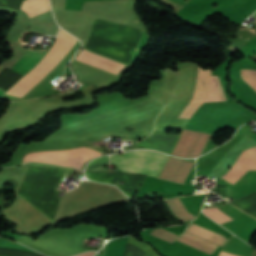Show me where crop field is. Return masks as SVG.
I'll list each match as a JSON object with an SVG mask.
<instances>
[{
	"label": "crop field",
	"instance_id": "bc2a9ffb",
	"mask_svg": "<svg viewBox=\"0 0 256 256\" xmlns=\"http://www.w3.org/2000/svg\"><path fill=\"white\" fill-rule=\"evenodd\" d=\"M253 16H255V17H256V13H255V14H253Z\"/></svg>",
	"mask_w": 256,
	"mask_h": 256
},
{
	"label": "crop field",
	"instance_id": "f4fd0767",
	"mask_svg": "<svg viewBox=\"0 0 256 256\" xmlns=\"http://www.w3.org/2000/svg\"><path fill=\"white\" fill-rule=\"evenodd\" d=\"M209 136L200 132L183 130L172 155L188 158L200 156Z\"/></svg>",
	"mask_w": 256,
	"mask_h": 256
},
{
	"label": "crop field",
	"instance_id": "d8731c3e",
	"mask_svg": "<svg viewBox=\"0 0 256 256\" xmlns=\"http://www.w3.org/2000/svg\"><path fill=\"white\" fill-rule=\"evenodd\" d=\"M193 163L169 157L159 178L184 183Z\"/></svg>",
	"mask_w": 256,
	"mask_h": 256
},
{
	"label": "crop field",
	"instance_id": "28ad6ade",
	"mask_svg": "<svg viewBox=\"0 0 256 256\" xmlns=\"http://www.w3.org/2000/svg\"><path fill=\"white\" fill-rule=\"evenodd\" d=\"M49 8H50V6H49L48 0H25L21 7V9L26 11L30 17L35 14H38L42 11H45ZM50 10L51 9H49L47 11H50ZM47 11H45V12H47ZM45 12H42V13H45ZM42 13H40V14H42Z\"/></svg>",
	"mask_w": 256,
	"mask_h": 256
},
{
	"label": "crop field",
	"instance_id": "214f88e0",
	"mask_svg": "<svg viewBox=\"0 0 256 256\" xmlns=\"http://www.w3.org/2000/svg\"><path fill=\"white\" fill-rule=\"evenodd\" d=\"M239 209V208H238ZM242 211V210H241ZM244 212V211H243ZM247 214V213H246ZM249 215V214H248ZM251 216V215H250ZM254 218V217H253ZM256 219V218H255Z\"/></svg>",
	"mask_w": 256,
	"mask_h": 256
},
{
	"label": "crop field",
	"instance_id": "dd49c442",
	"mask_svg": "<svg viewBox=\"0 0 256 256\" xmlns=\"http://www.w3.org/2000/svg\"><path fill=\"white\" fill-rule=\"evenodd\" d=\"M249 169H256V147L243 151L222 178L234 184Z\"/></svg>",
	"mask_w": 256,
	"mask_h": 256
},
{
	"label": "crop field",
	"instance_id": "cbeb9de0",
	"mask_svg": "<svg viewBox=\"0 0 256 256\" xmlns=\"http://www.w3.org/2000/svg\"><path fill=\"white\" fill-rule=\"evenodd\" d=\"M242 78L256 90V71L251 69L241 70Z\"/></svg>",
	"mask_w": 256,
	"mask_h": 256
},
{
	"label": "crop field",
	"instance_id": "e52e79f7",
	"mask_svg": "<svg viewBox=\"0 0 256 256\" xmlns=\"http://www.w3.org/2000/svg\"><path fill=\"white\" fill-rule=\"evenodd\" d=\"M211 70H203L201 68L199 69L192 100L179 114L178 117L190 118L192 114L196 111V109L203 103Z\"/></svg>",
	"mask_w": 256,
	"mask_h": 256
},
{
	"label": "crop field",
	"instance_id": "ac0d7876",
	"mask_svg": "<svg viewBox=\"0 0 256 256\" xmlns=\"http://www.w3.org/2000/svg\"><path fill=\"white\" fill-rule=\"evenodd\" d=\"M152 152L135 150L111 155L110 160L123 172L158 177L168 156Z\"/></svg>",
	"mask_w": 256,
	"mask_h": 256
},
{
	"label": "crop field",
	"instance_id": "412701ff",
	"mask_svg": "<svg viewBox=\"0 0 256 256\" xmlns=\"http://www.w3.org/2000/svg\"><path fill=\"white\" fill-rule=\"evenodd\" d=\"M226 240L224 236L194 223H192L188 230L178 239V241L209 255L212 254L218 245L222 246Z\"/></svg>",
	"mask_w": 256,
	"mask_h": 256
},
{
	"label": "crop field",
	"instance_id": "22f410ed",
	"mask_svg": "<svg viewBox=\"0 0 256 256\" xmlns=\"http://www.w3.org/2000/svg\"><path fill=\"white\" fill-rule=\"evenodd\" d=\"M203 212L219 224L232 220L217 208L203 209Z\"/></svg>",
	"mask_w": 256,
	"mask_h": 256
},
{
	"label": "crop field",
	"instance_id": "d1516ede",
	"mask_svg": "<svg viewBox=\"0 0 256 256\" xmlns=\"http://www.w3.org/2000/svg\"><path fill=\"white\" fill-rule=\"evenodd\" d=\"M166 202L171 208L172 212L184 222L190 221L196 217L187 211L179 197L167 199Z\"/></svg>",
	"mask_w": 256,
	"mask_h": 256
},
{
	"label": "crop field",
	"instance_id": "d9b57169",
	"mask_svg": "<svg viewBox=\"0 0 256 256\" xmlns=\"http://www.w3.org/2000/svg\"><path fill=\"white\" fill-rule=\"evenodd\" d=\"M96 253L95 252H85L81 255H78V256H94Z\"/></svg>",
	"mask_w": 256,
	"mask_h": 256
},
{
	"label": "crop field",
	"instance_id": "733c2abd",
	"mask_svg": "<svg viewBox=\"0 0 256 256\" xmlns=\"http://www.w3.org/2000/svg\"><path fill=\"white\" fill-rule=\"evenodd\" d=\"M218 256H235V255H231V254L221 252Z\"/></svg>",
	"mask_w": 256,
	"mask_h": 256
},
{
	"label": "crop field",
	"instance_id": "5142ce71",
	"mask_svg": "<svg viewBox=\"0 0 256 256\" xmlns=\"http://www.w3.org/2000/svg\"><path fill=\"white\" fill-rule=\"evenodd\" d=\"M151 235L156 236L158 238H161V239H163L165 241H168L170 243H172L174 241V239L177 237V235H175V234H173V233H171V232H169L165 229H162V228L154 230L151 233Z\"/></svg>",
	"mask_w": 256,
	"mask_h": 256
},
{
	"label": "crop field",
	"instance_id": "4a817a6b",
	"mask_svg": "<svg viewBox=\"0 0 256 256\" xmlns=\"http://www.w3.org/2000/svg\"><path fill=\"white\" fill-rule=\"evenodd\" d=\"M5 67H6V66H5ZM5 67H4V68H5ZM4 68H3V69H4ZM7 68H8V67H7ZM3 69L0 71V73L3 71ZM9 69H10V68H9ZM11 70H12V69H11ZM13 71H14V70H13ZM15 72H16V71H15ZM16 73H17V72H16ZM18 74H19V73H18ZM19 75H20V74H19ZM22 77H23V76H22ZM19 79H20V78H19ZM19 79H18V80H19ZM18 80H17V81H18ZM17 81H16V82H17ZM16 82H15V83H16ZM12 85H13V84H12ZM12 85H11V86H12ZM11 86H10V87H11ZM10 87H9V88H10Z\"/></svg>",
	"mask_w": 256,
	"mask_h": 256
},
{
	"label": "crop field",
	"instance_id": "34b2d1b8",
	"mask_svg": "<svg viewBox=\"0 0 256 256\" xmlns=\"http://www.w3.org/2000/svg\"><path fill=\"white\" fill-rule=\"evenodd\" d=\"M99 155L103 154L92 148L83 147L66 150L31 153L27 154L24 160L56 163L73 166L81 169L87 161Z\"/></svg>",
	"mask_w": 256,
	"mask_h": 256
},
{
	"label": "crop field",
	"instance_id": "8a807250",
	"mask_svg": "<svg viewBox=\"0 0 256 256\" xmlns=\"http://www.w3.org/2000/svg\"><path fill=\"white\" fill-rule=\"evenodd\" d=\"M75 39L61 29L50 51L7 93L24 98L56 66Z\"/></svg>",
	"mask_w": 256,
	"mask_h": 256
},
{
	"label": "crop field",
	"instance_id": "3316defc",
	"mask_svg": "<svg viewBox=\"0 0 256 256\" xmlns=\"http://www.w3.org/2000/svg\"><path fill=\"white\" fill-rule=\"evenodd\" d=\"M227 100L218 76H211L204 102Z\"/></svg>",
	"mask_w": 256,
	"mask_h": 256
},
{
	"label": "crop field",
	"instance_id": "5a996713",
	"mask_svg": "<svg viewBox=\"0 0 256 256\" xmlns=\"http://www.w3.org/2000/svg\"><path fill=\"white\" fill-rule=\"evenodd\" d=\"M76 60L87 63L89 65L95 66L97 68L103 69L105 71L111 72L113 74H118L125 65L120 64L116 61L106 59L102 56L95 55L86 50H82Z\"/></svg>",
	"mask_w": 256,
	"mask_h": 256
}]
</instances>
